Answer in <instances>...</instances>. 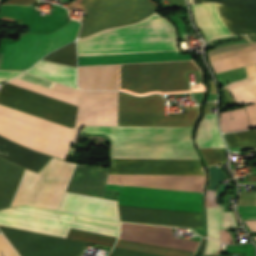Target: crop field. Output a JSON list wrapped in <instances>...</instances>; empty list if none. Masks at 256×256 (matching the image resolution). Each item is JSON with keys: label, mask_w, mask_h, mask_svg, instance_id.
Returning a JSON list of instances; mask_svg holds the SVG:
<instances>
[{"label": "crop field", "mask_w": 256, "mask_h": 256, "mask_svg": "<svg viewBox=\"0 0 256 256\" xmlns=\"http://www.w3.org/2000/svg\"><path fill=\"white\" fill-rule=\"evenodd\" d=\"M77 44L78 66L192 59L179 53L175 29L164 18L111 29Z\"/></svg>", "instance_id": "8a807250"}, {"label": "crop field", "mask_w": 256, "mask_h": 256, "mask_svg": "<svg viewBox=\"0 0 256 256\" xmlns=\"http://www.w3.org/2000/svg\"><path fill=\"white\" fill-rule=\"evenodd\" d=\"M117 91H82L73 142L84 125H115ZM163 97H134L118 92L116 125L193 126L197 107L185 113L162 116Z\"/></svg>", "instance_id": "ac0d7876"}, {"label": "crop field", "mask_w": 256, "mask_h": 256, "mask_svg": "<svg viewBox=\"0 0 256 256\" xmlns=\"http://www.w3.org/2000/svg\"><path fill=\"white\" fill-rule=\"evenodd\" d=\"M193 129L85 126L81 133H105L112 140V158L199 159Z\"/></svg>", "instance_id": "34b2d1b8"}, {"label": "crop field", "mask_w": 256, "mask_h": 256, "mask_svg": "<svg viewBox=\"0 0 256 256\" xmlns=\"http://www.w3.org/2000/svg\"><path fill=\"white\" fill-rule=\"evenodd\" d=\"M76 164L52 158L38 173L0 158V208L31 204L57 209Z\"/></svg>", "instance_id": "412701ff"}, {"label": "crop field", "mask_w": 256, "mask_h": 256, "mask_svg": "<svg viewBox=\"0 0 256 256\" xmlns=\"http://www.w3.org/2000/svg\"><path fill=\"white\" fill-rule=\"evenodd\" d=\"M107 184L202 192L204 176L109 175ZM119 193L200 201L201 193L112 186ZM119 194V204L200 212V202Z\"/></svg>", "instance_id": "f4fd0767"}, {"label": "crop field", "mask_w": 256, "mask_h": 256, "mask_svg": "<svg viewBox=\"0 0 256 256\" xmlns=\"http://www.w3.org/2000/svg\"><path fill=\"white\" fill-rule=\"evenodd\" d=\"M191 72L199 83L192 92L205 90L201 69L193 60L119 64V90L135 95L190 92L185 73Z\"/></svg>", "instance_id": "dd49c442"}, {"label": "crop field", "mask_w": 256, "mask_h": 256, "mask_svg": "<svg viewBox=\"0 0 256 256\" xmlns=\"http://www.w3.org/2000/svg\"><path fill=\"white\" fill-rule=\"evenodd\" d=\"M73 129L0 105V135L42 153L65 159Z\"/></svg>", "instance_id": "e52e79f7"}, {"label": "crop field", "mask_w": 256, "mask_h": 256, "mask_svg": "<svg viewBox=\"0 0 256 256\" xmlns=\"http://www.w3.org/2000/svg\"><path fill=\"white\" fill-rule=\"evenodd\" d=\"M75 216V213L24 205L0 210V225L64 238L70 228L118 236L117 230L73 221Z\"/></svg>", "instance_id": "d8731c3e"}, {"label": "crop field", "mask_w": 256, "mask_h": 256, "mask_svg": "<svg viewBox=\"0 0 256 256\" xmlns=\"http://www.w3.org/2000/svg\"><path fill=\"white\" fill-rule=\"evenodd\" d=\"M86 17L78 38L104 29L135 23L151 14L156 6L149 0H82Z\"/></svg>", "instance_id": "5a996713"}, {"label": "crop field", "mask_w": 256, "mask_h": 256, "mask_svg": "<svg viewBox=\"0 0 256 256\" xmlns=\"http://www.w3.org/2000/svg\"><path fill=\"white\" fill-rule=\"evenodd\" d=\"M222 22L232 35L251 34L256 42V9L217 3ZM217 5L214 2L191 5L195 23L207 38L230 36L228 28L221 22Z\"/></svg>", "instance_id": "3316defc"}, {"label": "crop field", "mask_w": 256, "mask_h": 256, "mask_svg": "<svg viewBox=\"0 0 256 256\" xmlns=\"http://www.w3.org/2000/svg\"><path fill=\"white\" fill-rule=\"evenodd\" d=\"M79 28L80 23L71 20L66 26L51 34H27L16 43L6 44L1 68L31 67L44 55L74 41Z\"/></svg>", "instance_id": "28ad6ade"}, {"label": "crop field", "mask_w": 256, "mask_h": 256, "mask_svg": "<svg viewBox=\"0 0 256 256\" xmlns=\"http://www.w3.org/2000/svg\"><path fill=\"white\" fill-rule=\"evenodd\" d=\"M0 104L73 128L77 106L11 85L0 89Z\"/></svg>", "instance_id": "d1516ede"}, {"label": "crop field", "mask_w": 256, "mask_h": 256, "mask_svg": "<svg viewBox=\"0 0 256 256\" xmlns=\"http://www.w3.org/2000/svg\"><path fill=\"white\" fill-rule=\"evenodd\" d=\"M21 256H78L84 242L0 226Z\"/></svg>", "instance_id": "22f410ed"}, {"label": "crop field", "mask_w": 256, "mask_h": 256, "mask_svg": "<svg viewBox=\"0 0 256 256\" xmlns=\"http://www.w3.org/2000/svg\"><path fill=\"white\" fill-rule=\"evenodd\" d=\"M109 174L204 175L199 160L110 159Z\"/></svg>", "instance_id": "cbeb9de0"}, {"label": "crop field", "mask_w": 256, "mask_h": 256, "mask_svg": "<svg viewBox=\"0 0 256 256\" xmlns=\"http://www.w3.org/2000/svg\"><path fill=\"white\" fill-rule=\"evenodd\" d=\"M121 221L202 229L201 213L119 205Z\"/></svg>", "instance_id": "5142ce71"}, {"label": "crop field", "mask_w": 256, "mask_h": 256, "mask_svg": "<svg viewBox=\"0 0 256 256\" xmlns=\"http://www.w3.org/2000/svg\"><path fill=\"white\" fill-rule=\"evenodd\" d=\"M172 230L167 227L121 223L119 239L194 252L198 242L172 238Z\"/></svg>", "instance_id": "d9b57169"}, {"label": "crop field", "mask_w": 256, "mask_h": 256, "mask_svg": "<svg viewBox=\"0 0 256 256\" xmlns=\"http://www.w3.org/2000/svg\"><path fill=\"white\" fill-rule=\"evenodd\" d=\"M58 209L119 220L115 200L66 192Z\"/></svg>", "instance_id": "733c2abd"}, {"label": "crop field", "mask_w": 256, "mask_h": 256, "mask_svg": "<svg viewBox=\"0 0 256 256\" xmlns=\"http://www.w3.org/2000/svg\"><path fill=\"white\" fill-rule=\"evenodd\" d=\"M82 89L118 90V64L78 67Z\"/></svg>", "instance_id": "4a817a6b"}, {"label": "crop field", "mask_w": 256, "mask_h": 256, "mask_svg": "<svg viewBox=\"0 0 256 256\" xmlns=\"http://www.w3.org/2000/svg\"><path fill=\"white\" fill-rule=\"evenodd\" d=\"M108 169L77 166L66 191L102 197Z\"/></svg>", "instance_id": "bc2a9ffb"}, {"label": "crop field", "mask_w": 256, "mask_h": 256, "mask_svg": "<svg viewBox=\"0 0 256 256\" xmlns=\"http://www.w3.org/2000/svg\"><path fill=\"white\" fill-rule=\"evenodd\" d=\"M0 157L38 172L51 156L27 149L0 136Z\"/></svg>", "instance_id": "214f88e0"}, {"label": "crop field", "mask_w": 256, "mask_h": 256, "mask_svg": "<svg viewBox=\"0 0 256 256\" xmlns=\"http://www.w3.org/2000/svg\"><path fill=\"white\" fill-rule=\"evenodd\" d=\"M26 73L78 89L76 86V68L74 67L41 60Z\"/></svg>", "instance_id": "92a150f3"}, {"label": "crop field", "mask_w": 256, "mask_h": 256, "mask_svg": "<svg viewBox=\"0 0 256 256\" xmlns=\"http://www.w3.org/2000/svg\"><path fill=\"white\" fill-rule=\"evenodd\" d=\"M198 148L225 147L217 128L216 114H204L196 136Z\"/></svg>", "instance_id": "dafd665d"}, {"label": "crop field", "mask_w": 256, "mask_h": 256, "mask_svg": "<svg viewBox=\"0 0 256 256\" xmlns=\"http://www.w3.org/2000/svg\"><path fill=\"white\" fill-rule=\"evenodd\" d=\"M247 79L230 84L231 90L238 104L256 103V65L246 68Z\"/></svg>", "instance_id": "00972430"}, {"label": "crop field", "mask_w": 256, "mask_h": 256, "mask_svg": "<svg viewBox=\"0 0 256 256\" xmlns=\"http://www.w3.org/2000/svg\"><path fill=\"white\" fill-rule=\"evenodd\" d=\"M234 118L231 120L230 118ZM220 124L223 132L249 129L248 118L244 108L225 111L220 114Z\"/></svg>", "instance_id": "a9b5d70f"}, {"label": "crop field", "mask_w": 256, "mask_h": 256, "mask_svg": "<svg viewBox=\"0 0 256 256\" xmlns=\"http://www.w3.org/2000/svg\"><path fill=\"white\" fill-rule=\"evenodd\" d=\"M215 72H222L256 63V51L216 60L211 62Z\"/></svg>", "instance_id": "4177f3b9"}, {"label": "crop field", "mask_w": 256, "mask_h": 256, "mask_svg": "<svg viewBox=\"0 0 256 256\" xmlns=\"http://www.w3.org/2000/svg\"><path fill=\"white\" fill-rule=\"evenodd\" d=\"M8 83H11V84H14V85H17V86H20V87H23V88H26V89H29V90H32V91H35V92H38V93H41V94H44V95H47V96H50V97H53V98H56V99H59V100H62V101H65V102H68V103L78 106L79 99L69 96V95H66V94H62V93H59V92L29 83V82H26L23 80H20L17 78L9 81Z\"/></svg>", "instance_id": "730fd06b"}, {"label": "crop field", "mask_w": 256, "mask_h": 256, "mask_svg": "<svg viewBox=\"0 0 256 256\" xmlns=\"http://www.w3.org/2000/svg\"><path fill=\"white\" fill-rule=\"evenodd\" d=\"M229 148H256V130L224 134Z\"/></svg>", "instance_id": "eef30255"}, {"label": "crop field", "mask_w": 256, "mask_h": 256, "mask_svg": "<svg viewBox=\"0 0 256 256\" xmlns=\"http://www.w3.org/2000/svg\"><path fill=\"white\" fill-rule=\"evenodd\" d=\"M116 246L117 247L140 250V251L164 254V255H169V256H192L193 255V253H191V252L173 250V249H168V248L144 245V244L121 241V240L118 241Z\"/></svg>", "instance_id": "ae1a2a85"}, {"label": "crop field", "mask_w": 256, "mask_h": 256, "mask_svg": "<svg viewBox=\"0 0 256 256\" xmlns=\"http://www.w3.org/2000/svg\"><path fill=\"white\" fill-rule=\"evenodd\" d=\"M67 238L113 247L117 238L71 229Z\"/></svg>", "instance_id": "d3111659"}, {"label": "crop field", "mask_w": 256, "mask_h": 256, "mask_svg": "<svg viewBox=\"0 0 256 256\" xmlns=\"http://www.w3.org/2000/svg\"><path fill=\"white\" fill-rule=\"evenodd\" d=\"M44 60L76 67V44L72 43L46 56Z\"/></svg>", "instance_id": "750c4746"}, {"label": "crop field", "mask_w": 256, "mask_h": 256, "mask_svg": "<svg viewBox=\"0 0 256 256\" xmlns=\"http://www.w3.org/2000/svg\"><path fill=\"white\" fill-rule=\"evenodd\" d=\"M209 237L219 240V207L207 208Z\"/></svg>", "instance_id": "bd1437ed"}, {"label": "crop field", "mask_w": 256, "mask_h": 256, "mask_svg": "<svg viewBox=\"0 0 256 256\" xmlns=\"http://www.w3.org/2000/svg\"><path fill=\"white\" fill-rule=\"evenodd\" d=\"M76 221L119 230V221L77 214Z\"/></svg>", "instance_id": "1d83c4d3"}, {"label": "crop field", "mask_w": 256, "mask_h": 256, "mask_svg": "<svg viewBox=\"0 0 256 256\" xmlns=\"http://www.w3.org/2000/svg\"><path fill=\"white\" fill-rule=\"evenodd\" d=\"M238 183H256V175L244 176V181H238ZM239 212L243 220L256 219V205L239 206Z\"/></svg>", "instance_id": "120bbe31"}, {"label": "crop field", "mask_w": 256, "mask_h": 256, "mask_svg": "<svg viewBox=\"0 0 256 256\" xmlns=\"http://www.w3.org/2000/svg\"><path fill=\"white\" fill-rule=\"evenodd\" d=\"M207 165L225 163L224 151L220 149H200Z\"/></svg>", "instance_id": "d32e631a"}, {"label": "crop field", "mask_w": 256, "mask_h": 256, "mask_svg": "<svg viewBox=\"0 0 256 256\" xmlns=\"http://www.w3.org/2000/svg\"><path fill=\"white\" fill-rule=\"evenodd\" d=\"M236 223L232 212H224V206L220 207V230L235 228Z\"/></svg>", "instance_id": "5866460e"}, {"label": "crop field", "mask_w": 256, "mask_h": 256, "mask_svg": "<svg viewBox=\"0 0 256 256\" xmlns=\"http://www.w3.org/2000/svg\"><path fill=\"white\" fill-rule=\"evenodd\" d=\"M210 1L242 5V6H249V7L256 8V0H190V3L196 4V3H204V2H210Z\"/></svg>", "instance_id": "028f5c9d"}, {"label": "crop field", "mask_w": 256, "mask_h": 256, "mask_svg": "<svg viewBox=\"0 0 256 256\" xmlns=\"http://www.w3.org/2000/svg\"><path fill=\"white\" fill-rule=\"evenodd\" d=\"M109 256H162V255L114 247L113 251Z\"/></svg>", "instance_id": "e1f06a70"}, {"label": "crop field", "mask_w": 256, "mask_h": 256, "mask_svg": "<svg viewBox=\"0 0 256 256\" xmlns=\"http://www.w3.org/2000/svg\"><path fill=\"white\" fill-rule=\"evenodd\" d=\"M17 78H20V79H23V80L47 87V88H51V89L55 85L54 82H50V81L26 74V73H23V74L17 76Z\"/></svg>", "instance_id": "0bd39190"}, {"label": "crop field", "mask_w": 256, "mask_h": 256, "mask_svg": "<svg viewBox=\"0 0 256 256\" xmlns=\"http://www.w3.org/2000/svg\"><path fill=\"white\" fill-rule=\"evenodd\" d=\"M0 256H18L2 235H0Z\"/></svg>", "instance_id": "b80d0937"}, {"label": "crop field", "mask_w": 256, "mask_h": 256, "mask_svg": "<svg viewBox=\"0 0 256 256\" xmlns=\"http://www.w3.org/2000/svg\"><path fill=\"white\" fill-rule=\"evenodd\" d=\"M244 108L246 109L250 120V127L256 128V104L245 106Z\"/></svg>", "instance_id": "c035e120"}, {"label": "crop field", "mask_w": 256, "mask_h": 256, "mask_svg": "<svg viewBox=\"0 0 256 256\" xmlns=\"http://www.w3.org/2000/svg\"><path fill=\"white\" fill-rule=\"evenodd\" d=\"M220 246L221 242L209 239L205 254L218 255Z\"/></svg>", "instance_id": "c21b1889"}, {"label": "crop field", "mask_w": 256, "mask_h": 256, "mask_svg": "<svg viewBox=\"0 0 256 256\" xmlns=\"http://www.w3.org/2000/svg\"><path fill=\"white\" fill-rule=\"evenodd\" d=\"M53 89L57 90V91H60V92H63V93H66V94H69V95H72V96H75V97H78V98H79V95H80L79 91H76L74 89L68 88L66 86H63V85H60V84H57V83L53 87Z\"/></svg>", "instance_id": "03da06ac"}, {"label": "crop field", "mask_w": 256, "mask_h": 256, "mask_svg": "<svg viewBox=\"0 0 256 256\" xmlns=\"http://www.w3.org/2000/svg\"><path fill=\"white\" fill-rule=\"evenodd\" d=\"M23 71H25V70H19V71L0 70V81H6V80L10 79L11 77H13Z\"/></svg>", "instance_id": "b54c1fbb"}, {"label": "crop field", "mask_w": 256, "mask_h": 256, "mask_svg": "<svg viewBox=\"0 0 256 256\" xmlns=\"http://www.w3.org/2000/svg\"><path fill=\"white\" fill-rule=\"evenodd\" d=\"M215 193H216V191L207 190V192H206V204H205V206L216 205V202H215Z\"/></svg>", "instance_id": "5d738f31"}, {"label": "crop field", "mask_w": 256, "mask_h": 256, "mask_svg": "<svg viewBox=\"0 0 256 256\" xmlns=\"http://www.w3.org/2000/svg\"><path fill=\"white\" fill-rule=\"evenodd\" d=\"M235 104L234 100L232 99L229 91L226 89L224 92V100H223V107Z\"/></svg>", "instance_id": "d23c7cc5"}, {"label": "crop field", "mask_w": 256, "mask_h": 256, "mask_svg": "<svg viewBox=\"0 0 256 256\" xmlns=\"http://www.w3.org/2000/svg\"><path fill=\"white\" fill-rule=\"evenodd\" d=\"M220 240L226 243L233 244L230 232H226V230L220 231Z\"/></svg>", "instance_id": "425ffa30"}, {"label": "crop field", "mask_w": 256, "mask_h": 256, "mask_svg": "<svg viewBox=\"0 0 256 256\" xmlns=\"http://www.w3.org/2000/svg\"><path fill=\"white\" fill-rule=\"evenodd\" d=\"M37 0H8L5 4H23V5H30Z\"/></svg>", "instance_id": "25e5ab78"}, {"label": "crop field", "mask_w": 256, "mask_h": 256, "mask_svg": "<svg viewBox=\"0 0 256 256\" xmlns=\"http://www.w3.org/2000/svg\"><path fill=\"white\" fill-rule=\"evenodd\" d=\"M246 223L251 228L252 231H256V221H254V222H246Z\"/></svg>", "instance_id": "73cf0c24"}, {"label": "crop field", "mask_w": 256, "mask_h": 256, "mask_svg": "<svg viewBox=\"0 0 256 256\" xmlns=\"http://www.w3.org/2000/svg\"><path fill=\"white\" fill-rule=\"evenodd\" d=\"M210 83H211V88H210V92H209V94L216 93L215 85L213 84V82H212V81H210Z\"/></svg>", "instance_id": "89e229c0"}, {"label": "crop field", "mask_w": 256, "mask_h": 256, "mask_svg": "<svg viewBox=\"0 0 256 256\" xmlns=\"http://www.w3.org/2000/svg\"><path fill=\"white\" fill-rule=\"evenodd\" d=\"M201 105H202V104L198 105L199 109H200ZM199 116H200V113H199Z\"/></svg>", "instance_id": "1f2cbd36"}, {"label": "crop field", "mask_w": 256, "mask_h": 256, "mask_svg": "<svg viewBox=\"0 0 256 256\" xmlns=\"http://www.w3.org/2000/svg\"><path fill=\"white\" fill-rule=\"evenodd\" d=\"M255 239H256V237H255Z\"/></svg>", "instance_id": "dbb93151"}]
</instances>
